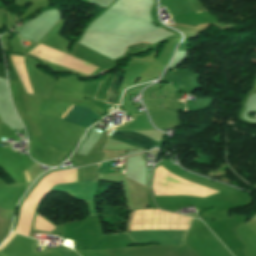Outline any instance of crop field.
I'll return each mask as SVG.
<instances>
[{"label": "crop field", "instance_id": "8a807250", "mask_svg": "<svg viewBox=\"0 0 256 256\" xmlns=\"http://www.w3.org/2000/svg\"><path fill=\"white\" fill-rule=\"evenodd\" d=\"M187 231H140L127 233L138 245L182 244Z\"/></svg>", "mask_w": 256, "mask_h": 256}, {"label": "crop field", "instance_id": "ac0d7876", "mask_svg": "<svg viewBox=\"0 0 256 256\" xmlns=\"http://www.w3.org/2000/svg\"><path fill=\"white\" fill-rule=\"evenodd\" d=\"M97 181L61 184L55 191L66 193L75 199L88 203L90 215L96 214L93 198Z\"/></svg>", "mask_w": 256, "mask_h": 256}, {"label": "crop field", "instance_id": "34b2d1b8", "mask_svg": "<svg viewBox=\"0 0 256 256\" xmlns=\"http://www.w3.org/2000/svg\"><path fill=\"white\" fill-rule=\"evenodd\" d=\"M72 105L69 107V109L62 115L60 120L63 118V116L70 110ZM98 115H96L94 112H92L90 109L82 108L73 106L71 110L64 116L62 120L68 121L80 126L90 127L92 122L95 120V118Z\"/></svg>", "mask_w": 256, "mask_h": 256}, {"label": "crop field", "instance_id": "412701ff", "mask_svg": "<svg viewBox=\"0 0 256 256\" xmlns=\"http://www.w3.org/2000/svg\"><path fill=\"white\" fill-rule=\"evenodd\" d=\"M109 140L122 143L134 148H137L139 145L144 148H150L156 141L149 139L143 135H140L136 132H119L115 131Z\"/></svg>", "mask_w": 256, "mask_h": 256}, {"label": "crop field", "instance_id": "f4fd0767", "mask_svg": "<svg viewBox=\"0 0 256 256\" xmlns=\"http://www.w3.org/2000/svg\"><path fill=\"white\" fill-rule=\"evenodd\" d=\"M123 72H124V69H122L120 73L114 75L110 83V86L108 88V95H107L106 102L115 104V95H116L117 87L122 79Z\"/></svg>", "mask_w": 256, "mask_h": 256}, {"label": "crop field", "instance_id": "dd49c442", "mask_svg": "<svg viewBox=\"0 0 256 256\" xmlns=\"http://www.w3.org/2000/svg\"><path fill=\"white\" fill-rule=\"evenodd\" d=\"M64 256H79L75 251L73 250H65L60 251Z\"/></svg>", "mask_w": 256, "mask_h": 256}, {"label": "crop field", "instance_id": "e52e79f7", "mask_svg": "<svg viewBox=\"0 0 256 256\" xmlns=\"http://www.w3.org/2000/svg\"><path fill=\"white\" fill-rule=\"evenodd\" d=\"M25 172V171H24ZM25 174H26V172H25ZM26 177H27V179L29 180V177H28V175L26 174Z\"/></svg>", "mask_w": 256, "mask_h": 256}, {"label": "crop field", "instance_id": "d8731c3e", "mask_svg": "<svg viewBox=\"0 0 256 256\" xmlns=\"http://www.w3.org/2000/svg\"><path fill=\"white\" fill-rule=\"evenodd\" d=\"M89 66H92V65H90V64H89ZM92 67H94V68H95V66H92Z\"/></svg>", "mask_w": 256, "mask_h": 256}]
</instances>
